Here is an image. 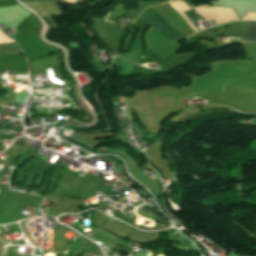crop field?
<instances>
[{"mask_svg":"<svg viewBox=\"0 0 256 256\" xmlns=\"http://www.w3.org/2000/svg\"><path fill=\"white\" fill-rule=\"evenodd\" d=\"M137 21H149L152 22L153 29L169 41H173L183 34L175 30L164 18H162L154 9L147 8L141 14ZM187 38V37H185Z\"/></svg>","mask_w":256,"mask_h":256,"instance_id":"obj_1","label":"crop field"},{"mask_svg":"<svg viewBox=\"0 0 256 256\" xmlns=\"http://www.w3.org/2000/svg\"><path fill=\"white\" fill-rule=\"evenodd\" d=\"M29 64H30V71H32L36 69L59 65V64H62V62H61L59 53H56L52 56L43 58L41 60L31 61L29 62Z\"/></svg>","mask_w":256,"mask_h":256,"instance_id":"obj_2","label":"crop field"},{"mask_svg":"<svg viewBox=\"0 0 256 256\" xmlns=\"http://www.w3.org/2000/svg\"><path fill=\"white\" fill-rule=\"evenodd\" d=\"M242 40L256 42V22H250Z\"/></svg>","mask_w":256,"mask_h":256,"instance_id":"obj_3","label":"crop field"},{"mask_svg":"<svg viewBox=\"0 0 256 256\" xmlns=\"http://www.w3.org/2000/svg\"><path fill=\"white\" fill-rule=\"evenodd\" d=\"M237 20H239V19H237Z\"/></svg>","mask_w":256,"mask_h":256,"instance_id":"obj_4","label":"crop field"}]
</instances>
